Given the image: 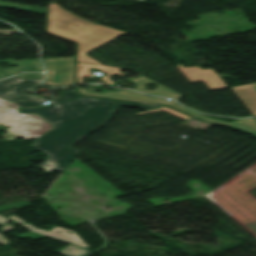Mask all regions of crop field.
Here are the masks:
<instances>
[{
    "instance_id": "1",
    "label": "crop field",
    "mask_w": 256,
    "mask_h": 256,
    "mask_svg": "<svg viewBox=\"0 0 256 256\" xmlns=\"http://www.w3.org/2000/svg\"><path fill=\"white\" fill-rule=\"evenodd\" d=\"M136 106L141 109L162 107L157 105L97 99L80 96L74 100L61 104L19 109L20 113H37L53 128L36 139L32 144L36 148L50 154L45 164L39 166L45 172L51 170L63 171L79 151L69 148L70 145L85 137L104 123L121 106ZM83 112L82 115L76 114Z\"/></svg>"
},
{
    "instance_id": "2",
    "label": "crop field",
    "mask_w": 256,
    "mask_h": 256,
    "mask_svg": "<svg viewBox=\"0 0 256 256\" xmlns=\"http://www.w3.org/2000/svg\"><path fill=\"white\" fill-rule=\"evenodd\" d=\"M57 23V24H55ZM76 26H73L76 24ZM47 31L78 43V61L99 63L85 53L125 33L101 26L69 12L56 3L49 4Z\"/></svg>"
},
{
    "instance_id": "3",
    "label": "crop field",
    "mask_w": 256,
    "mask_h": 256,
    "mask_svg": "<svg viewBox=\"0 0 256 256\" xmlns=\"http://www.w3.org/2000/svg\"><path fill=\"white\" fill-rule=\"evenodd\" d=\"M0 122L10 125L8 128L24 139L37 138L52 128L37 114H19L18 106L0 98Z\"/></svg>"
},
{
    "instance_id": "4",
    "label": "crop field",
    "mask_w": 256,
    "mask_h": 256,
    "mask_svg": "<svg viewBox=\"0 0 256 256\" xmlns=\"http://www.w3.org/2000/svg\"><path fill=\"white\" fill-rule=\"evenodd\" d=\"M40 80L41 79H20L17 76L0 80V97L18 104L19 107L41 106L42 104L40 102H42L43 99L25 95V91L38 86ZM63 93L64 97L62 99L52 101L58 102L77 96L72 90Z\"/></svg>"
},
{
    "instance_id": "5",
    "label": "crop field",
    "mask_w": 256,
    "mask_h": 256,
    "mask_svg": "<svg viewBox=\"0 0 256 256\" xmlns=\"http://www.w3.org/2000/svg\"><path fill=\"white\" fill-rule=\"evenodd\" d=\"M47 69L43 84L52 86L73 83V57L42 59Z\"/></svg>"
},
{
    "instance_id": "6",
    "label": "crop field",
    "mask_w": 256,
    "mask_h": 256,
    "mask_svg": "<svg viewBox=\"0 0 256 256\" xmlns=\"http://www.w3.org/2000/svg\"><path fill=\"white\" fill-rule=\"evenodd\" d=\"M7 217L30 231L88 248V246L84 243V241L78 236V234L75 231L61 228L58 226H53L52 228H50L51 230L45 231L42 229H38L28 223H25L24 220L20 219L15 215H10ZM56 231H59V233H57ZM69 232H72V234H70Z\"/></svg>"
},
{
    "instance_id": "7",
    "label": "crop field",
    "mask_w": 256,
    "mask_h": 256,
    "mask_svg": "<svg viewBox=\"0 0 256 256\" xmlns=\"http://www.w3.org/2000/svg\"><path fill=\"white\" fill-rule=\"evenodd\" d=\"M78 92L86 95H99V96L121 98V99L140 100V101H147L152 103H162L166 105H173L175 103L174 100L170 102H163L164 98L155 97V96H145L144 94H140L132 90L105 91L103 93H98L94 91H88L83 88H78Z\"/></svg>"
},
{
    "instance_id": "8",
    "label": "crop field",
    "mask_w": 256,
    "mask_h": 256,
    "mask_svg": "<svg viewBox=\"0 0 256 256\" xmlns=\"http://www.w3.org/2000/svg\"><path fill=\"white\" fill-rule=\"evenodd\" d=\"M172 107H174V108H176V109H178V110H180L184 113H187L191 116H194L196 118L206 120V121H210V122H214V123H218V124H222V125H226V126H230V127H234V128H238V129H242V130H245V131H247V132L256 136V121H255L254 118L238 119V120L227 122V121L207 117L205 115L199 114L197 112H194V111H191L187 108L179 106L176 103Z\"/></svg>"
},
{
    "instance_id": "9",
    "label": "crop field",
    "mask_w": 256,
    "mask_h": 256,
    "mask_svg": "<svg viewBox=\"0 0 256 256\" xmlns=\"http://www.w3.org/2000/svg\"><path fill=\"white\" fill-rule=\"evenodd\" d=\"M129 82L136 84V86L134 87L135 90H138L140 92L147 93V94H152V95H157V96H162V97H172L175 99H177L179 96L182 95V94H180L162 84H159L143 75H138L137 78H130ZM146 83H154L157 86L155 87V89L153 91L147 90V89H145Z\"/></svg>"
},
{
    "instance_id": "10",
    "label": "crop field",
    "mask_w": 256,
    "mask_h": 256,
    "mask_svg": "<svg viewBox=\"0 0 256 256\" xmlns=\"http://www.w3.org/2000/svg\"><path fill=\"white\" fill-rule=\"evenodd\" d=\"M242 103L256 115V83L231 88Z\"/></svg>"
},
{
    "instance_id": "11",
    "label": "crop field",
    "mask_w": 256,
    "mask_h": 256,
    "mask_svg": "<svg viewBox=\"0 0 256 256\" xmlns=\"http://www.w3.org/2000/svg\"><path fill=\"white\" fill-rule=\"evenodd\" d=\"M88 67H95L100 68L101 72L107 73L106 76L100 77L102 80L105 81L107 84H113L114 82L111 81L108 76H111L113 74H117L122 76L124 73L119 72L120 68L117 67H109V66H100V65H93L88 63H77V82L83 83V76H92L90 70Z\"/></svg>"
},
{
    "instance_id": "12",
    "label": "crop field",
    "mask_w": 256,
    "mask_h": 256,
    "mask_svg": "<svg viewBox=\"0 0 256 256\" xmlns=\"http://www.w3.org/2000/svg\"><path fill=\"white\" fill-rule=\"evenodd\" d=\"M0 61H5L9 64H17V67H11V68H6L2 69L0 68L1 71L4 73L10 75L16 72L20 71H37V70H43L42 65L40 64V61L38 59H29V60H0Z\"/></svg>"
},
{
    "instance_id": "13",
    "label": "crop field",
    "mask_w": 256,
    "mask_h": 256,
    "mask_svg": "<svg viewBox=\"0 0 256 256\" xmlns=\"http://www.w3.org/2000/svg\"><path fill=\"white\" fill-rule=\"evenodd\" d=\"M88 251H89L88 249L69 244L63 247L62 249L58 250L57 252L65 256H81L87 253Z\"/></svg>"
},
{
    "instance_id": "14",
    "label": "crop field",
    "mask_w": 256,
    "mask_h": 256,
    "mask_svg": "<svg viewBox=\"0 0 256 256\" xmlns=\"http://www.w3.org/2000/svg\"><path fill=\"white\" fill-rule=\"evenodd\" d=\"M0 6L8 7V8H14V9L34 11V12H41V13H44V11H45V9H42V8L30 7V6H24V5H17V4H11V3H5V2H0Z\"/></svg>"
},
{
    "instance_id": "15",
    "label": "crop field",
    "mask_w": 256,
    "mask_h": 256,
    "mask_svg": "<svg viewBox=\"0 0 256 256\" xmlns=\"http://www.w3.org/2000/svg\"><path fill=\"white\" fill-rule=\"evenodd\" d=\"M161 110H164V111H166V112H169V113H171V114H173V115H175V116H177V117H179V118H181V119H189V118H190V117L184 116V115H182V114H179V113H177V112H175V111H173V110H171V109H169V108H163V109H156V110H151V111H145V112H140V113H137V114L150 113V112H156V111H161Z\"/></svg>"
},
{
    "instance_id": "16",
    "label": "crop field",
    "mask_w": 256,
    "mask_h": 256,
    "mask_svg": "<svg viewBox=\"0 0 256 256\" xmlns=\"http://www.w3.org/2000/svg\"><path fill=\"white\" fill-rule=\"evenodd\" d=\"M12 228H14V227L11 226V225L5 224V225L1 226V228H0V233H2L3 231H6V230H10V229H12ZM0 237H2V239H0V243H2V244H4V245L8 246L7 244H8V242H9V240L6 239V238H5L4 236H2L1 234H0Z\"/></svg>"
},
{
    "instance_id": "17",
    "label": "crop field",
    "mask_w": 256,
    "mask_h": 256,
    "mask_svg": "<svg viewBox=\"0 0 256 256\" xmlns=\"http://www.w3.org/2000/svg\"><path fill=\"white\" fill-rule=\"evenodd\" d=\"M21 78H42V73H24L21 75H18Z\"/></svg>"
},
{
    "instance_id": "18",
    "label": "crop field",
    "mask_w": 256,
    "mask_h": 256,
    "mask_svg": "<svg viewBox=\"0 0 256 256\" xmlns=\"http://www.w3.org/2000/svg\"><path fill=\"white\" fill-rule=\"evenodd\" d=\"M27 204H28V202L24 201V202H19V203L3 205V206H0V210H4V209H8V208H13V207H18V206L27 205Z\"/></svg>"
},
{
    "instance_id": "19",
    "label": "crop field",
    "mask_w": 256,
    "mask_h": 256,
    "mask_svg": "<svg viewBox=\"0 0 256 256\" xmlns=\"http://www.w3.org/2000/svg\"><path fill=\"white\" fill-rule=\"evenodd\" d=\"M16 236H18V237L26 236V237H28V238H29V239H31V240H34V239H37V238L43 237V236H40V235H37V234L31 233V232L22 233V234H17ZM18 237H17V238H18Z\"/></svg>"
},
{
    "instance_id": "20",
    "label": "crop field",
    "mask_w": 256,
    "mask_h": 256,
    "mask_svg": "<svg viewBox=\"0 0 256 256\" xmlns=\"http://www.w3.org/2000/svg\"><path fill=\"white\" fill-rule=\"evenodd\" d=\"M7 221H9V220L4 218V217H2V216H0V224H3L5 222H7Z\"/></svg>"
},
{
    "instance_id": "21",
    "label": "crop field",
    "mask_w": 256,
    "mask_h": 256,
    "mask_svg": "<svg viewBox=\"0 0 256 256\" xmlns=\"http://www.w3.org/2000/svg\"><path fill=\"white\" fill-rule=\"evenodd\" d=\"M3 77H7V76L0 72V78H3Z\"/></svg>"
}]
</instances>
